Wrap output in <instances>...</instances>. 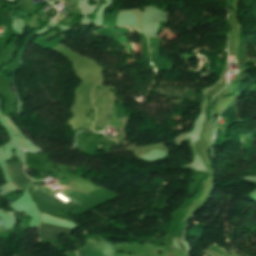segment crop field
<instances>
[{
  "instance_id": "2",
  "label": "crop field",
  "mask_w": 256,
  "mask_h": 256,
  "mask_svg": "<svg viewBox=\"0 0 256 256\" xmlns=\"http://www.w3.org/2000/svg\"><path fill=\"white\" fill-rule=\"evenodd\" d=\"M70 229L59 228L42 223L41 234L42 240L56 239V237L61 233H68Z\"/></svg>"
},
{
  "instance_id": "1",
  "label": "crop field",
  "mask_w": 256,
  "mask_h": 256,
  "mask_svg": "<svg viewBox=\"0 0 256 256\" xmlns=\"http://www.w3.org/2000/svg\"><path fill=\"white\" fill-rule=\"evenodd\" d=\"M23 163L19 162L17 164H6L7 172L11 180L20 188L22 186L28 185L31 181L25 177L22 170Z\"/></svg>"
},
{
  "instance_id": "3",
  "label": "crop field",
  "mask_w": 256,
  "mask_h": 256,
  "mask_svg": "<svg viewBox=\"0 0 256 256\" xmlns=\"http://www.w3.org/2000/svg\"><path fill=\"white\" fill-rule=\"evenodd\" d=\"M77 253L79 256H103L101 251V244L89 241H87L84 247L77 250Z\"/></svg>"
},
{
  "instance_id": "4",
  "label": "crop field",
  "mask_w": 256,
  "mask_h": 256,
  "mask_svg": "<svg viewBox=\"0 0 256 256\" xmlns=\"http://www.w3.org/2000/svg\"><path fill=\"white\" fill-rule=\"evenodd\" d=\"M42 191H43V190H42ZM33 193L36 194V195H38V196H40L41 198H43V199L49 201L50 203H52V204L58 206V207H60V205H62L63 207H60V208H62V209L69 210V209H71L72 207L78 205V204H76V203L70 201L69 199H66V200H64V201L61 202V201H59V200H57V199H55V198L49 196V195L46 194L45 192L37 191V192H33Z\"/></svg>"
}]
</instances>
